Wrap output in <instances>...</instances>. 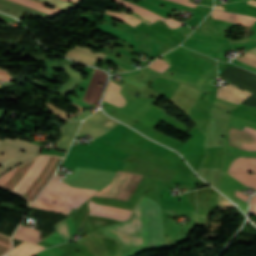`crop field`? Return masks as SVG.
Here are the masks:
<instances>
[{
	"mask_svg": "<svg viewBox=\"0 0 256 256\" xmlns=\"http://www.w3.org/2000/svg\"><path fill=\"white\" fill-rule=\"evenodd\" d=\"M102 230L104 236L122 242L123 248L164 245L160 205L144 195L130 220L103 227Z\"/></svg>",
	"mask_w": 256,
	"mask_h": 256,
	"instance_id": "1",
	"label": "crop field"
},
{
	"mask_svg": "<svg viewBox=\"0 0 256 256\" xmlns=\"http://www.w3.org/2000/svg\"><path fill=\"white\" fill-rule=\"evenodd\" d=\"M61 160L62 157L58 156H38L2 175L0 187L32 202L49 181Z\"/></svg>",
	"mask_w": 256,
	"mask_h": 256,
	"instance_id": "2",
	"label": "crop field"
},
{
	"mask_svg": "<svg viewBox=\"0 0 256 256\" xmlns=\"http://www.w3.org/2000/svg\"><path fill=\"white\" fill-rule=\"evenodd\" d=\"M58 178L55 174L32 204V207L68 214L71 208H78L88 198L97 193L94 190L70 187L66 183L58 181Z\"/></svg>",
	"mask_w": 256,
	"mask_h": 256,
	"instance_id": "3",
	"label": "crop field"
},
{
	"mask_svg": "<svg viewBox=\"0 0 256 256\" xmlns=\"http://www.w3.org/2000/svg\"><path fill=\"white\" fill-rule=\"evenodd\" d=\"M127 174L128 177L126 176ZM136 177H138L137 180H135ZM148 179V177L144 179V176L118 171L112 183L101 190L96 196L134 202Z\"/></svg>",
	"mask_w": 256,
	"mask_h": 256,
	"instance_id": "4",
	"label": "crop field"
},
{
	"mask_svg": "<svg viewBox=\"0 0 256 256\" xmlns=\"http://www.w3.org/2000/svg\"><path fill=\"white\" fill-rule=\"evenodd\" d=\"M13 144V145H17V146H21V147H25V148H29V149H33V150H36L32 153H29L33 150H29V149H25V148H21V147H17V146H13V145H9V144ZM7 144V146H6ZM6 146V147H5ZM5 147V149H4ZM4 149V150H3ZM24 150L26 152L22 153L20 150ZM3 150V151H2ZM41 150V147L40 146H37L35 144H32V143H29V142H26V141H23L21 139H18L16 138L15 141L13 140H10L8 138L5 139L4 142L0 141V153L2 151V153H4V156H1L2 153L0 154V165L2 164V166H4L5 164L9 163L10 161L26 154V153H29L7 165H5L4 167H2L0 169V174L5 172L7 169L11 168V167H14L30 158H32L33 156L39 154Z\"/></svg>",
	"mask_w": 256,
	"mask_h": 256,
	"instance_id": "5",
	"label": "crop field"
},
{
	"mask_svg": "<svg viewBox=\"0 0 256 256\" xmlns=\"http://www.w3.org/2000/svg\"><path fill=\"white\" fill-rule=\"evenodd\" d=\"M120 123L108 118L102 112L97 111L94 115L84 120L78 136L89 133L94 139L109 131Z\"/></svg>",
	"mask_w": 256,
	"mask_h": 256,
	"instance_id": "6",
	"label": "crop field"
},
{
	"mask_svg": "<svg viewBox=\"0 0 256 256\" xmlns=\"http://www.w3.org/2000/svg\"><path fill=\"white\" fill-rule=\"evenodd\" d=\"M229 143L245 151H256V129L244 126L240 130L230 127Z\"/></svg>",
	"mask_w": 256,
	"mask_h": 256,
	"instance_id": "7",
	"label": "crop field"
},
{
	"mask_svg": "<svg viewBox=\"0 0 256 256\" xmlns=\"http://www.w3.org/2000/svg\"><path fill=\"white\" fill-rule=\"evenodd\" d=\"M106 77L107 74L105 72L95 69L83 101L89 104L98 103Z\"/></svg>",
	"mask_w": 256,
	"mask_h": 256,
	"instance_id": "8",
	"label": "crop field"
},
{
	"mask_svg": "<svg viewBox=\"0 0 256 256\" xmlns=\"http://www.w3.org/2000/svg\"><path fill=\"white\" fill-rule=\"evenodd\" d=\"M235 86V85H234ZM233 85L229 84L225 87H221L217 89L216 97L235 102L237 104L241 103L243 100H245L251 93H248L246 91H242Z\"/></svg>",
	"mask_w": 256,
	"mask_h": 256,
	"instance_id": "9",
	"label": "crop field"
},
{
	"mask_svg": "<svg viewBox=\"0 0 256 256\" xmlns=\"http://www.w3.org/2000/svg\"><path fill=\"white\" fill-rule=\"evenodd\" d=\"M89 208H90V215H96V216L129 218L130 212H131L129 210L98 205L91 201L89 202Z\"/></svg>",
	"mask_w": 256,
	"mask_h": 256,
	"instance_id": "10",
	"label": "crop field"
},
{
	"mask_svg": "<svg viewBox=\"0 0 256 256\" xmlns=\"http://www.w3.org/2000/svg\"><path fill=\"white\" fill-rule=\"evenodd\" d=\"M65 56L76 60L78 62L87 63L94 65V60H97L98 58L103 59L106 57V55L100 53V54H93L91 53V50L87 47H79L77 46L73 50L69 51Z\"/></svg>",
	"mask_w": 256,
	"mask_h": 256,
	"instance_id": "11",
	"label": "crop field"
},
{
	"mask_svg": "<svg viewBox=\"0 0 256 256\" xmlns=\"http://www.w3.org/2000/svg\"><path fill=\"white\" fill-rule=\"evenodd\" d=\"M117 1L122 2V0H117ZM120 2H117V3L121 4ZM122 5L126 6L127 8H129L133 11L132 15H129V16L137 18V19H139L143 22H146L148 24H150L158 19L164 20V18H162V17H160V16L134 4V3L123 1ZM122 13H124V12H122ZM124 14H126V13H124Z\"/></svg>",
	"mask_w": 256,
	"mask_h": 256,
	"instance_id": "12",
	"label": "crop field"
},
{
	"mask_svg": "<svg viewBox=\"0 0 256 256\" xmlns=\"http://www.w3.org/2000/svg\"><path fill=\"white\" fill-rule=\"evenodd\" d=\"M214 19L238 23L251 28L256 18L213 10L211 13Z\"/></svg>",
	"mask_w": 256,
	"mask_h": 256,
	"instance_id": "13",
	"label": "crop field"
},
{
	"mask_svg": "<svg viewBox=\"0 0 256 256\" xmlns=\"http://www.w3.org/2000/svg\"><path fill=\"white\" fill-rule=\"evenodd\" d=\"M0 7L4 8V9H7L9 11H12V12L20 14V15H18V14H15V13H12V12L0 9V11L10 13V14L18 17L19 19L21 18V16L23 14H26V13L42 15V16H51V15L45 14L43 12L31 9L29 7H26V6H23V5L11 2L9 0H0Z\"/></svg>",
	"mask_w": 256,
	"mask_h": 256,
	"instance_id": "14",
	"label": "crop field"
},
{
	"mask_svg": "<svg viewBox=\"0 0 256 256\" xmlns=\"http://www.w3.org/2000/svg\"><path fill=\"white\" fill-rule=\"evenodd\" d=\"M79 123L80 122L68 121L64 126H62L60 131L63 134H62V138L60 139V142H58V150L64 151V152L67 151Z\"/></svg>",
	"mask_w": 256,
	"mask_h": 256,
	"instance_id": "15",
	"label": "crop field"
},
{
	"mask_svg": "<svg viewBox=\"0 0 256 256\" xmlns=\"http://www.w3.org/2000/svg\"><path fill=\"white\" fill-rule=\"evenodd\" d=\"M229 172L256 173V158H238L236 159Z\"/></svg>",
	"mask_w": 256,
	"mask_h": 256,
	"instance_id": "16",
	"label": "crop field"
},
{
	"mask_svg": "<svg viewBox=\"0 0 256 256\" xmlns=\"http://www.w3.org/2000/svg\"><path fill=\"white\" fill-rule=\"evenodd\" d=\"M120 89L121 86L113 83V82H109V86L107 89V92L105 94L104 97V101L112 103L114 105H117L119 107H122L125 105L126 101L125 99L119 94L120 93Z\"/></svg>",
	"mask_w": 256,
	"mask_h": 256,
	"instance_id": "17",
	"label": "crop field"
},
{
	"mask_svg": "<svg viewBox=\"0 0 256 256\" xmlns=\"http://www.w3.org/2000/svg\"><path fill=\"white\" fill-rule=\"evenodd\" d=\"M44 249L43 246L33 243L23 242L12 249L7 255L9 256H32L38 251Z\"/></svg>",
	"mask_w": 256,
	"mask_h": 256,
	"instance_id": "18",
	"label": "crop field"
},
{
	"mask_svg": "<svg viewBox=\"0 0 256 256\" xmlns=\"http://www.w3.org/2000/svg\"><path fill=\"white\" fill-rule=\"evenodd\" d=\"M39 236H40L39 231L30 227L20 225V227L17 229L13 238H17L22 241L37 243L41 241L39 239Z\"/></svg>",
	"mask_w": 256,
	"mask_h": 256,
	"instance_id": "19",
	"label": "crop field"
},
{
	"mask_svg": "<svg viewBox=\"0 0 256 256\" xmlns=\"http://www.w3.org/2000/svg\"><path fill=\"white\" fill-rule=\"evenodd\" d=\"M61 69H63L64 71H66L68 73V75L70 76V80L64 85L62 86L57 92L61 93V94H66L67 92H69L75 85H77L81 79H82V74L79 72H76L72 69H70L67 66H63L61 67ZM62 95V96H63Z\"/></svg>",
	"mask_w": 256,
	"mask_h": 256,
	"instance_id": "20",
	"label": "crop field"
},
{
	"mask_svg": "<svg viewBox=\"0 0 256 256\" xmlns=\"http://www.w3.org/2000/svg\"><path fill=\"white\" fill-rule=\"evenodd\" d=\"M12 1L29 6L31 8H34V9H37L40 11H43V12L51 14V15L64 12V10H60V9H56V8H54L53 10L48 9V8L44 7V4H41V3L33 1V0H12Z\"/></svg>",
	"mask_w": 256,
	"mask_h": 256,
	"instance_id": "21",
	"label": "crop field"
},
{
	"mask_svg": "<svg viewBox=\"0 0 256 256\" xmlns=\"http://www.w3.org/2000/svg\"><path fill=\"white\" fill-rule=\"evenodd\" d=\"M247 187L256 189V174L228 173Z\"/></svg>",
	"mask_w": 256,
	"mask_h": 256,
	"instance_id": "22",
	"label": "crop field"
},
{
	"mask_svg": "<svg viewBox=\"0 0 256 256\" xmlns=\"http://www.w3.org/2000/svg\"><path fill=\"white\" fill-rule=\"evenodd\" d=\"M107 14L112 15V16H114V17H116V18H118V19H120V20H122V21H124V22H126L128 24H131L133 26H135V25H137V24H139L141 22V21H139L137 19H134L132 17H129V16L124 15V14L119 13V12L107 11Z\"/></svg>",
	"mask_w": 256,
	"mask_h": 256,
	"instance_id": "23",
	"label": "crop field"
},
{
	"mask_svg": "<svg viewBox=\"0 0 256 256\" xmlns=\"http://www.w3.org/2000/svg\"><path fill=\"white\" fill-rule=\"evenodd\" d=\"M10 247H11L10 238L0 234V256L7 253Z\"/></svg>",
	"mask_w": 256,
	"mask_h": 256,
	"instance_id": "24",
	"label": "crop field"
},
{
	"mask_svg": "<svg viewBox=\"0 0 256 256\" xmlns=\"http://www.w3.org/2000/svg\"><path fill=\"white\" fill-rule=\"evenodd\" d=\"M39 1L48 3V4H51V5H54V6L66 9V10H69V9H72L75 7V5H72V4H69V3H66V2H63L60 0H39Z\"/></svg>",
	"mask_w": 256,
	"mask_h": 256,
	"instance_id": "25",
	"label": "crop field"
},
{
	"mask_svg": "<svg viewBox=\"0 0 256 256\" xmlns=\"http://www.w3.org/2000/svg\"><path fill=\"white\" fill-rule=\"evenodd\" d=\"M164 64H166L165 61H162L160 59H156L151 65H149V67L153 68V69H158L159 67L163 66ZM170 65H164L163 67L159 68L158 70L156 71H159V72H164Z\"/></svg>",
	"mask_w": 256,
	"mask_h": 256,
	"instance_id": "26",
	"label": "crop field"
},
{
	"mask_svg": "<svg viewBox=\"0 0 256 256\" xmlns=\"http://www.w3.org/2000/svg\"><path fill=\"white\" fill-rule=\"evenodd\" d=\"M57 229L59 231V233L61 234V236L63 237V239L65 240V242L69 241V235H68V231H67V227L65 222H61L59 224L56 225Z\"/></svg>",
	"mask_w": 256,
	"mask_h": 256,
	"instance_id": "27",
	"label": "crop field"
},
{
	"mask_svg": "<svg viewBox=\"0 0 256 256\" xmlns=\"http://www.w3.org/2000/svg\"><path fill=\"white\" fill-rule=\"evenodd\" d=\"M166 21V24H168V25H170V26H172V27H174V28H176V27H178V26H180V25H183V24H181V23H179V22H177V21H175V20H173V19H171V18H168V19H166L165 20ZM169 27V26H168ZM171 28V27H170ZM173 29V28H172Z\"/></svg>",
	"mask_w": 256,
	"mask_h": 256,
	"instance_id": "28",
	"label": "crop field"
},
{
	"mask_svg": "<svg viewBox=\"0 0 256 256\" xmlns=\"http://www.w3.org/2000/svg\"><path fill=\"white\" fill-rule=\"evenodd\" d=\"M12 79L13 78L9 74H7L3 71H0V80L12 81Z\"/></svg>",
	"mask_w": 256,
	"mask_h": 256,
	"instance_id": "29",
	"label": "crop field"
},
{
	"mask_svg": "<svg viewBox=\"0 0 256 256\" xmlns=\"http://www.w3.org/2000/svg\"><path fill=\"white\" fill-rule=\"evenodd\" d=\"M91 114L89 111L85 110L82 113H80L79 115H77L76 118H72L70 120H78V119H83L85 118L87 115Z\"/></svg>",
	"mask_w": 256,
	"mask_h": 256,
	"instance_id": "30",
	"label": "crop field"
},
{
	"mask_svg": "<svg viewBox=\"0 0 256 256\" xmlns=\"http://www.w3.org/2000/svg\"><path fill=\"white\" fill-rule=\"evenodd\" d=\"M172 1H175V2H178V3H181V4H184V5H187V6H190V7H195L197 5L195 4H192V3H188V2H185V1H182V0H172Z\"/></svg>",
	"mask_w": 256,
	"mask_h": 256,
	"instance_id": "31",
	"label": "crop field"
},
{
	"mask_svg": "<svg viewBox=\"0 0 256 256\" xmlns=\"http://www.w3.org/2000/svg\"><path fill=\"white\" fill-rule=\"evenodd\" d=\"M235 196H237V197H239V198H241V199H243V200H245V201H247V199H248V196H246V195L240 193L239 191H236Z\"/></svg>",
	"mask_w": 256,
	"mask_h": 256,
	"instance_id": "32",
	"label": "crop field"
},
{
	"mask_svg": "<svg viewBox=\"0 0 256 256\" xmlns=\"http://www.w3.org/2000/svg\"><path fill=\"white\" fill-rule=\"evenodd\" d=\"M248 52H251V53H253V54H256V47L253 48V49H251V50H249ZM248 52H246L245 55H248V56H250V57L256 58V55L250 54V53H248Z\"/></svg>",
	"mask_w": 256,
	"mask_h": 256,
	"instance_id": "33",
	"label": "crop field"
},
{
	"mask_svg": "<svg viewBox=\"0 0 256 256\" xmlns=\"http://www.w3.org/2000/svg\"><path fill=\"white\" fill-rule=\"evenodd\" d=\"M247 3L256 6V2L253 1V0H250V1H248Z\"/></svg>",
	"mask_w": 256,
	"mask_h": 256,
	"instance_id": "34",
	"label": "crop field"
},
{
	"mask_svg": "<svg viewBox=\"0 0 256 256\" xmlns=\"http://www.w3.org/2000/svg\"><path fill=\"white\" fill-rule=\"evenodd\" d=\"M215 8L224 10V8H223V7L215 6Z\"/></svg>",
	"mask_w": 256,
	"mask_h": 256,
	"instance_id": "35",
	"label": "crop field"
},
{
	"mask_svg": "<svg viewBox=\"0 0 256 256\" xmlns=\"http://www.w3.org/2000/svg\"><path fill=\"white\" fill-rule=\"evenodd\" d=\"M65 1H70V2L76 3V0H65Z\"/></svg>",
	"mask_w": 256,
	"mask_h": 256,
	"instance_id": "36",
	"label": "crop field"
},
{
	"mask_svg": "<svg viewBox=\"0 0 256 256\" xmlns=\"http://www.w3.org/2000/svg\"><path fill=\"white\" fill-rule=\"evenodd\" d=\"M187 1H189V0H187Z\"/></svg>",
	"mask_w": 256,
	"mask_h": 256,
	"instance_id": "37",
	"label": "crop field"
},
{
	"mask_svg": "<svg viewBox=\"0 0 256 256\" xmlns=\"http://www.w3.org/2000/svg\"><path fill=\"white\" fill-rule=\"evenodd\" d=\"M121 54V53H120ZM123 55V54H122Z\"/></svg>",
	"mask_w": 256,
	"mask_h": 256,
	"instance_id": "38",
	"label": "crop field"
}]
</instances>
